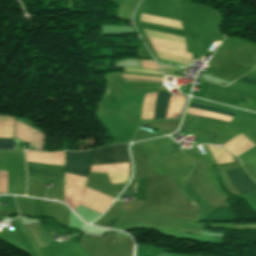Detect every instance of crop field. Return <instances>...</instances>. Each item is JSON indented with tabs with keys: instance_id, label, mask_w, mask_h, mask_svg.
<instances>
[{
	"instance_id": "crop-field-4",
	"label": "crop field",
	"mask_w": 256,
	"mask_h": 256,
	"mask_svg": "<svg viewBox=\"0 0 256 256\" xmlns=\"http://www.w3.org/2000/svg\"><path fill=\"white\" fill-rule=\"evenodd\" d=\"M242 173L246 177L247 181L253 186V188L256 190V183H254L249 176L246 174V172L241 169ZM236 185V187L243 193H250L254 192L255 190L251 187V185L246 181L240 170H235V171H229L227 172Z\"/></svg>"
},
{
	"instance_id": "crop-field-3",
	"label": "crop field",
	"mask_w": 256,
	"mask_h": 256,
	"mask_svg": "<svg viewBox=\"0 0 256 256\" xmlns=\"http://www.w3.org/2000/svg\"><path fill=\"white\" fill-rule=\"evenodd\" d=\"M28 173L63 177L64 165L26 161Z\"/></svg>"
},
{
	"instance_id": "crop-field-2",
	"label": "crop field",
	"mask_w": 256,
	"mask_h": 256,
	"mask_svg": "<svg viewBox=\"0 0 256 256\" xmlns=\"http://www.w3.org/2000/svg\"><path fill=\"white\" fill-rule=\"evenodd\" d=\"M65 172L87 178L89 174V151L65 152Z\"/></svg>"
},
{
	"instance_id": "crop-field-7",
	"label": "crop field",
	"mask_w": 256,
	"mask_h": 256,
	"mask_svg": "<svg viewBox=\"0 0 256 256\" xmlns=\"http://www.w3.org/2000/svg\"><path fill=\"white\" fill-rule=\"evenodd\" d=\"M0 149H13V140L0 139Z\"/></svg>"
},
{
	"instance_id": "crop-field-1",
	"label": "crop field",
	"mask_w": 256,
	"mask_h": 256,
	"mask_svg": "<svg viewBox=\"0 0 256 256\" xmlns=\"http://www.w3.org/2000/svg\"><path fill=\"white\" fill-rule=\"evenodd\" d=\"M129 162L126 144L103 147L90 151V164Z\"/></svg>"
},
{
	"instance_id": "crop-field-5",
	"label": "crop field",
	"mask_w": 256,
	"mask_h": 256,
	"mask_svg": "<svg viewBox=\"0 0 256 256\" xmlns=\"http://www.w3.org/2000/svg\"><path fill=\"white\" fill-rule=\"evenodd\" d=\"M170 98L171 95L165 92H159L154 119H165L167 117L168 109L171 102L169 101Z\"/></svg>"
},
{
	"instance_id": "crop-field-8",
	"label": "crop field",
	"mask_w": 256,
	"mask_h": 256,
	"mask_svg": "<svg viewBox=\"0 0 256 256\" xmlns=\"http://www.w3.org/2000/svg\"><path fill=\"white\" fill-rule=\"evenodd\" d=\"M239 80L246 81V82H249V83H252V84L256 85V79L251 78V77H247L245 75L242 76Z\"/></svg>"
},
{
	"instance_id": "crop-field-9",
	"label": "crop field",
	"mask_w": 256,
	"mask_h": 256,
	"mask_svg": "<svg viewBox=\"0 0 256 256\" xmlns=\"http://www.w3.org/2000/svg\"><path fill=\"white\" fill-rule=\"evenodd\" d=\"M140 21H142V20H140ZM142 22H147V21H142ZM147 23H151V22H147ZM152 24H156V23H152ZM157 25H161V24H157ZM162 26H166V25H162ZM166 27H171V26H166ZM171 28H175V27H171ZM176 29H180V28H176ZM181 30H183V29H181Z\"/></svg>"
},
{
	"instance_id": "crop-field-6",
	"label": "crop field",
	"mask_w": 256,
	"mask_h": 256,
	"mask_svg": "<svg viewBox=\"0 0 256 256\" xmlns=\"http://www.w3.org/2000/svg\"><path fill=\"white\" fill-rule=\"evenodd\" d=\"M189 107L207 111V112H211V113H215V114H219V115H223V116H227V117H231V118H233V116H234V114H232V113H228V112H224V111H220V110H216V109H212V108H208V107H204V106H200V105H196V104H192V103L190 104Z\"/></svg>"
},
{
	"instance_id": "crop-field-10",
	"label": "crop field",
	"mask_w": 256,
	"mask_h": 256,
	"mask_svg": "<svg viewBox=\"0 0 256 256\" xmlns=\"http://www.w3.org/2000/svg\"><path fill=\"white\" fill-rule=\"evenodd\" d=\"M137 183H138V180H136V182H135V188H134V190H136V188H137Z\"/></svg>"
}]
</instances>
